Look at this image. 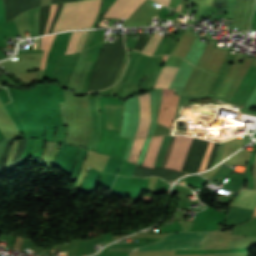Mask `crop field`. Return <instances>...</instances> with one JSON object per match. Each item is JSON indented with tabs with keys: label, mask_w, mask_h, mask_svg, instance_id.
Returning a JSON list of instances; mask_svg holds the SVG:
<instances>
[{
	"label": "crop field",
	"mask_w": 256,
	"mask_h": 256,
	"mask_svg": "<svg viewBox=\"0 0 256 256\" xmlns=\"http://www.w3.org/2000/svg\"><path fill=\"white\" fill-rule=\"evenodd\" d=\"M99 5L100 0H83L64 4L53 32L91 27L98 13Z\"/></svg>",
	"instance_id": "crop-field-1"
},
{
	"label": "crop field",
	"mask_w": 256,
	"mask_h": 256,
	"mask_svg": "<svg viewBox=\"0 0 256 256\" xmlns=\"http://www.w3.org/2000/svg\"><path fill=\"white\" fill-rule=\"evenodd\" d=\"M208 232H178L170 234L156 244L145 246L136 251L200 249Z\"/></svg>",
	"instance_id": "crop-field-2"
},
{
	"label": "crop field",
	"mask_w": 256,
	"mask_h": 256,
	"mask_svg": "<svg viewBox=\"0 0 256 256\" xmlns=\"http://www.w3.org/2000/svg\"><path fill=\"white\" fill-rule=\"evenodd\" d=\"M138 97H139L140 107H141L140 123H139V127L137 130V134L133 143L130 156L128 158V161L135 164L137 163L138 156L146 140L150 122H151L149 92L139 95Z\"/></svg>",
	"instance_id": "crop-field-3"
},
{
	"label": "crop field",
	"mask_w": 256,
	"mask_h": 256,
	"mask_svg": "<svg viewBox=\"0 0 256 256\" xmlns=\"http://www.w3.org/2000/svg\"><path fill=\"white\" fill-rule=\"evenodd\" d=\"M123 101L118 97L100 96L101 128L120 129Z\"/></svg>",
	"instance_id": "crop-field-4"
},
{
	"label": "crop field",
	"mask_w": 256,
	"mask_h": 256,
	"mask_svg": "<svg viewBox=\"0 0 256 256\" xmlns=\"http://www.w3.org/2000/svg\"><path fill=\"white\" fill-rule=\"evenodd\" d=\"M174 90L163 89L162 104L159 112L158 122L171 129L179 97L174 95ZM165 108L167 110H165Z\"/></svg>",
	"instance_id": "crop-field-5"
},
{
	"label": "crop field",
	"mask_w": 256,
	"mask_h": 256,
	"mask_svg": "<svg viewBox=\"0 0 256 256\" xmlns=\"http://www.w3.org/2000/svg\"><path fill=\"white\" fill-rule=\"evenodd\" d=\"M193 137L177 136L165 167L181 170L187 150Z\"/></svg>",
	"instance_id": "crop-field-6"
},
{
	"label": "crop field",
	"mask_w": 256,
	"mask_h": 256,
	"mask_svg": "<svg viewBox=\"0 0 256 256\" xmlns=\"http://www.w3.org/2000/svg\"><path fill=\"white\" fill-rule=\"evenodd\" d=\"M145 0H116L104 17L129 18Z\"/></svg>",
	"instance_id": "crop-field-7"
},
{
	"label": "crop field",
	"mask_w": 256,
	"mask_h": 256,
	"mask_svg": "<svg viewBox=\"0 0 256 256\" xmlns=\"http://www.w3.org/2000/svg\"><path fill=\"white\" fill-rule=\"evenodd\" d=\"M178 69L179 68H177V67L165 65L160 76H159V79L155 85V88H158V87H161V88L167 87L168 88L173 77L177 73Z\"/></svg>",
	"instance_id": "crop-field-8"
},
{
	"label": "crop field",
	"mask_w": 256,
	"mask_h": 256,
	"mask_svg": "<svg viewBox=\"0 0 256 256\" xmlns=\"http://www.w3.org/2000/svg\"><path fill=\"white\" fill-rule=\"evenodd\" d=\"M163 137L164 136L152 137L150 147L143 165L153 167Z\"/></svg>",
	"instance_id": "crop-field-9"
},
{
	"label": "crop field",
	"mask_w": 256,
	"mask_h": 256,
	"mask_svg": "<svg viewBox=\"0 0 256 256\" xmlns=\"http://www.w3.org/2000/svg\"><path fill=\"white\" fill-rule=\"evenodd\" d=\"M231 205L256 207V191L242 190Z\"/></svg>",
	"instance_id": "crop-field-10"
},
{
	"label": "crop field",
	"mask_w": 256,
	"mask_h": 256,
	"mask_svg": "<svg viewBox=\"0 0 256 256\" xmlns=\"http://www.w3.org/2000/svg\"><path fill=\"white\" fill-rule=\"evenodd\" d=\"M54 36L55 35H51V36H45V37L41 38L40 49H45V52L42 57L40 69H44V67H45V63H46V59H47V52L52 44Z\"/></svg>",
	"instance_id": "crop-field-11"
},
{
	"label": "crop field",
	"mask_w": 256,
	"mask_h": 256,
	"mask_svg": "<svg viewBox=\"0 0 256 256\" xmlns=\"http://www.w3.org/2000/svg\"><path fill=\"white\" fill-rule=\"evenodd\" d=\"M161 38H162L161 35L153 34V36L150 39V41L148 42L147 46L143 50V53L152 55L153 52L155 51L156 47L158 46Z\"/></svg>",
	"instance_id": "crop-field-12"
},
{
	"label": "crop field",
	"mask_w": 256,
	"mask_h": 256,
	"mask_svg": "<svg viewBox=\"0 0 256 256\" xmlns=\"http://www.w3.org/2000/svg\"><path fill=\"white\" fill-rule=\"evenodd\" d=\"M82 32L83 31H78V32L72 33L71 40H70L69 46H68L65 54L75 53Z\"/></svg>",
	"instance_id": "crop-field-13"
},
{
	"label": "crop field",
	"mask_w": 256,
	"mask_h": 256,
	"mask_svg": "<svg viewBox=\"0 0 256 256\" xmlns=\"http://www.w3.org/2000/svg\"><path fill=\"white\" fill-rule=\"evenodd\" d=\"M255 151H256V143H255V146H254L253 151H252V155H251V157H250V159H249V161H248V165H247L248 188H251V189H253V180H252L251 167H252V163H253L254 156H255V154H256Z\"/></svg>",
	"instance_id": "crop-field-14"
},
{
	"label": "crop field",
	"mask_w": 256,
	"mask_h": 256,
	"mask_svg": "<svg viewBox=\"0 0 256 256\" xmlns=\"http://www.w3.org/2000/svg\"><path fill=\"white\" fill-rule=\"evenodd\" d=\"M55 11H56V4H53V5H51V12H50V16H49V20H48L47 29H46V33L45 34H47V32H48L49 25H50V23H51V21L53 19Z\"/></svg>",
	"instance_id": "crop-field-15"
},
{
	"label": "crop field",
	"mask_w": 256,
	"mask_h": 256,
	"mask_svg": "<svg viewBox=\"0 0 256 256\" xmlns=\"http://www.w3.org/2000/svg\"><path fill=\"white\" fill-rule=\"evenodd\" d=\"M86 34H87V31H84L83 34H82V37H81V40H80V43H79V46H78L77 51H80V50H81L82 45H83V42H84L85 37H86Z\"/></svg>",
	"instance_id": "crop-field-16"
},
{
	"label": "crop field",
	"mask_w": 256,
	"mask_h": 256,
	"mask_svg": "<svg viewBox=\"0 0 256 256\" xmlns=\"http://www.w3.org/2000/svg\"><path fill=\"white\" fill-rule=\"evenodd\" d=\"M156 1H158V2H160L162 4H164V5H167V6L169 4V0H156Z\"/></svg>",
	"instance_id": "crop-field-17"
}]
</instances>
